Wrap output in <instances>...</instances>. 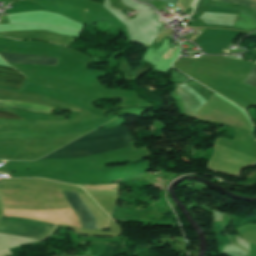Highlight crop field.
Listing matches in <instances>:
<instances>
[{
  "label": "crop field",
  "mask_w": 256,
  "mask_h": 256,
  "mask_svg": "<svg viewBox=\"0 0 256 256\" xmlns=\"http://www.w3.org/2000/svg\"><path fill=\"white\" fill-rule=\"evenodd\" d=\"M133 138L128 128L118 126L114 128L100 129L93 131L64 147L95 145L103 142L124 140ZM135 139L104 143L96 146L60 148L48 156L40 159H77L91 157L127 147H131L130 142Z\"/></svg>",
  "instance_id": "8a807250"
},
{
  "label": "crop field",
  "mask_w": 256,
  "mask_h": 256,
  "mask_svg": "<svg viewBox=\"0 0 256 256\" xmlns=\"http://www.w3.org/2000/svg\"><path fill=\"white\" fill-rule=\"evenodd\" d=\"M52 225L4 217L0 219V244L15 245L42 239Z\"/></svg>",
  "instance_id": "ac0d7876"
},
{
  "label": "crop field",
  "mask_w": 256,
  "mask_h": 256,
  "mask_svg": "<svg viewBox=\"0 0 256 256\" xmlns=\"http://www.w3.org/2000/svg\"><path fill=\"white\" fill-rule=\"evenodd\" d=\"M64 194L79 215L83 229H107L76 193L64 192Z\"/></svg>",
  "instance_id": "34b2d1b8"
},
{
  "label": "crop field",
  "mask_w": 256,
  "mask_h": 256,
  "mask_svg": "<svg viewBox=\"0 0 256 256\" xmlns=\"http://www.w3.org/2000/svg\"><path fill=\"white\" fill-rule=\"evenodd\" d=\"M180 87H182L186 92H188L192 97H194L198 102H200L202 105L205 103V99H203L199 94H197L194 90H192L188 85H186L185 83H183L182 85H180ZM179 86L177 87V92L184 104L185 110H186V114L188 116H192L194 117V115L197 113V111L200 109V107L202 106L201 104H199L195 99H193L189 94H187L183 89H181ZM176 90L174 91V93L172 94V96L176 99L177 104L179 106V109L181 111V113L185 114V110L183 107V104L176 92ZM202 108V107H201Z\"/></svg>",
  "instance_id": "412701ff"
},
{
  "label": "crop field",
  "mask_w": 256,
  "mask_h": 256,
  "mask_svg": "<svg viewBox=\"0 0 256 256\" xmlns=\"http://www.w3.org/2000/svg\"><path fill=\"white\" fill-rule=\"evenodd\" d=\"M239 12V11H238ZM236 16L205 12L200 19L206 24L233 25ZM233 26L256 28V21L238 13Z\"/></svg>",
  "instance_id": "f4fd0767"
},
{
  "label": "crop field",
  "mask_w": 256,
  "mask_h": 256,
  "mask_svg": "<svg viewBox=\"0 0 256 256\" xmlns=\"http://www.w3.org/2000/svg\"><path fill=\"white\" fill-rule=\"evenodd\" d=\"M0 55L8 63L57 65V61H58V58L45 57V56L13 54V53H3V52H0Z\"/></svg>",
  "instance_id": "dd49c442"
},
{
  "label": "crop field",
  "mask_w": 256,
  "mask_h": 256,
  "mask_svg": "<svg viewBox=\"0 0 256 256\" xmlns=\"http://www.w3.org/2000/svg\"><path fill=\"white\" fill-rule=\"evenodd\" d=\"M24 79L15 69L0 67V86L19 89Z\"/></svg>",
  "instance_id": "e52e79f7"
},
{
  "label": "crop field",
  "mask_w": 256,
  "mask_h": 256,
  "mask_svg": "<svg viewBox=\"0 0 256 256\" xmlns=\"http://www.w3.org/2000/svg\"><path fill=\"white\" fill-rule=\"evenodd\" d=\"M214 1H219V2H227V3H234V4H239V5H243L245 7H248L254 11H256V0H247V1H250V2H246V1H242V0H214Z\"/></svg>",
  "instance_id": "d8731c3e"
},
{
  "label": "crop field",
  "mask_w": 256,
  "mask_h": 256,
  "mask_svg": "<svg viewBox=\"0 0 256 256\" xmlns=\"http://www.w3.org/2000/svg\"><path fill=\"white\" fill-rule=\"evenodd\" d=\"M244 83L256 86V66L254 67V69L252 70V72L250 73V75L248 76Z\"/></svg>",
  "instance_id": "5a996713"
},
{
  "label": "crop field",
  "mask_w": 256,
  "mask_h": 256,
  "mask_svg": "<svg viewBox=\"0 0 256 256\" xmlns=\"http://www.w3.org/2000/svg\"><path fill=\"white\" fill-rule=\"evenodd\" d=\"M0 118L22 120L19 116L15 115L13 113H10V112H0Z\"/></svg>",
  "instance_id": "3316defc"
},
{
  "label": "crop field",
  "mask_w": 256,
  "mask_h": 256,
  "mask_svg": "<svg viewBox=\"0 0 256 256\" xmlns=\"http://www.w3.org/2000/svg\"><path fill=\"white\" fill-rule=\"evenodd\" d=\"M142 1L149 3L151 0H142ZM162 1L170 3L172 5H176L177 3V0H162Z\"/></svg>",
  "instance_id": "28ad6ade"
},
{
  "label": "crop field",
  "mask_w": 256,
  "mask_h": 256,
  "mask_svg": "<svg viewBox=\"0 0 256 256\" xmlns=\"http://www.w3.org/2000/svg\"><path fill=\"white\" fill-rule=\"evenodd\" d=\"M174 49H175V48H174ZM172 52H173V51H172ZM172 52H171V53H172ZM168 53H169V51L166 53V55L164 56V58L167 56ZM171 53H170V54H171ZM170 54H169V55H170ZM169 55H168V56H169ZM171 55H172V54H171ZM171 55H170V56H171ZM168 56L166 57V59L168 58ZM168 59H169V58H168Z\"/></svg>",
  "instance_id": "d1516ede"
},
{
  "label": "crop field",
  "mask_w": 256,
  "mask_h": 256,
  "mask_svg": "<svg viewBox=\"0 0 256 256\" xmlns=\"http://www.w3.org/2000/svg\"><path fill=\"white\" fill-rule=\"evenodd\" d=\"M11 1H15V0H11Z\"/></svg>",
  "instance_id": "22f410ed"
}]
</instances>
